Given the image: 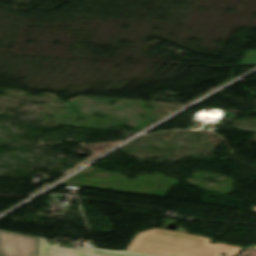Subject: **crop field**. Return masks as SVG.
Returning <instances> with one entry per match:
<instances>
[{
	"label": "crop field",
	"instance_id": "1",
	"mask_svg": "<svg viewBox=\"0 0 256 256\" xmlns=\"http://www.w3.org/2000/svg\"><path fill=\"white\" fill-rule=\"evenodd\" d=\"M126 249L153 256H233L241 247L212 244L207 238L154 228L137 234Z\"/></svg>",
	"mask_w": 256,
	"mask_h": 256
},
{
	"label": "crop field",
	"instance_id": "7",
	"mask_svg": "<svg viewBox=\"0 0 256 256\" xmlns=\"http://www.w3.org/2000/svg\"><path fill=\"white\" fill-rule=\"evenodd\" d=\"M92 252H93V250H92ZM91 256H92V254H91Z\"/></svg>",
	"mask_w": 256,
	"mask_h": 256
},
{
	"label": "crop field",
	"instance_id": "4",
	"mask_svg": "<svg viewBox=\"0 0 256 256\" xmlns=\"http://www.w3.org/2000/svg\"><path fill=\"white\" fill-rule=\"evenodd\" d=\"M93 256H142V255L130 254L126 252H105V251L94 249Z\"/></svg>",
	"mask_w": 256,
	"mask_h": 256
},
{
	"label": "crop field",
	"instance_id": "5",
	"mask_svg": "<svg viewBox=\"0 0 256 256\" xmlns=\"http://www.w3.org/2000/svg\"><path fill=\"white\" fill-rule=\"evenodd\" d=\"M256 64V50L247 51L241 65Z\"/></svg>",
	"mask_w": 256,
	"mask_h": 256
},
{
	"label": "crop field",
	"instance_id": "6",
	"mask_svg": "<svg viewBox=\"0 0 256 256\" xmlns=\"http://www.w3.org/2000/svg\"><path fill=\"white\" fill-rule=\"evenodd\" d=\"M254 212H256V207H254Z\"/></svg>",
	"mask_w": 256,
	"mask_h": 256
},
{
	"label": "crop field",
	"instance_id": "3",
	"mask_svg": "<svg viewBox=\"0 0 256 256\" xmlns=\"http://www.w3.org/2000/svg\"><path fill=\"white\" fill-rule=\"evenodd\" d=\"M91 250L49 247L44 238H39V256H90Z\"/></svg>",
	"mask_w": 256,
	"mask_h": 256
},
{
	"label": "crop field",
	"instance_id": "2",
	"mask_svg": "<svg viewBox=\"0 0 256 256\" xmlns=\"http://www.w3.org/2000/svg\"><path fill=\"white\" fill-rule=\"evenodd\" d=\"M0 256H37V237L0 230Z\"/></svg>",
	"mask_w": 256,
	"mask_h": 256
},
{
	"label": "crop field",
	"instance_id": "8",
	"mask_svg": "<svg viewBox=\"0 0 256 256\" xmlns=\"http://www.w3.org/2000/svg\"><path fill=\"white\" fill-rule=\"evenodd\" d=\"M255 248H256V246H255Z\"/></svg>",
	"mask_w": 256,
	"mask_h": 256
}]
</instances>
